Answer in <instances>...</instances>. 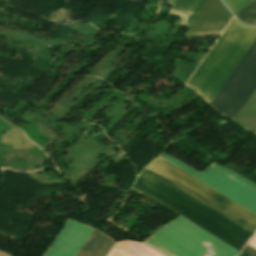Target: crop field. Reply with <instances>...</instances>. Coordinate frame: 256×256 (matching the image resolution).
<instances>
[{
    "instance_id": "crop-field-1",
    "label": "crop field",
    "mask_w": 256,
    "mask_h": 256,
    "mask_svg": "<svg viewBox=\"0 0 256 256\" xmlns=\"http://www.w3.org/2000/svg\"><path fill=\"white\" fill-rule=\"evenodd\" d=\"M132 189L165 205L240 251L253 234L148 169L142 171Z\"/></svg>"
},
{
    "instance_id": "crop-field-2",
    "label": "crop field",
    "mask_w": 256,
    "mask_h": 256,
    "mask_svg": "<svg viewBox=\"0 0 256 256\" xmlns=\"http://www.w3.org/2000/svg\"><path fill=\"white\" fill-rule=\"evenodd\" d=\"M255 37L256 28L232 19L186 85L210 103Z\"/></svg>"
},
{
    "instance_id": "crop-field-3",
    "label": "crop field",
    "mask_w": 256,
    "mask_h": 256,
    "mask_svg": "<svg viewBox=\"0 0 256 256\" xmlns=\"http://www.w3.org/2000/svg\"><path fill=\"white\" fill-rule=\"evenodd\" d=\"M145 242L168 256H237L239 253L181 216Z\"/></svg>"
},
{
    "instance_id": "crop-field-4",
    "label": "crop field",
    "mask_w": 256,
    "mask_h": 256,
    "mask_svg": "<svg viewBox=\"0 0 256 256\" xmlns=\"http://www.w3.org/2000/svg\"><path fill=\"white\" fill-rule=\"evenodd\" d=\"M146 168L245 227L249 231L253 233L255 232V215L168 163L164 159L159 157Z\"/></svg>"
},
{
    "instance_id": "crop-field-5",
    "label": "crop field",
    "mask_w": 256,
    "mask_h": 256,
    "mask_svg": "<svg viewBox=\"0 0 256 256\" xmlns=\"http://www.w3.org/2000/svg\"><path fill=\"white\" fill-rule=\"evenodd\" d=\"M160 157L256 215V186L252 183L214 162L200 173L165 153Z\"/></svg>"
},
{
    "instance_id": "crop-field-6",
    "label": "crop field",
    "mask_w": 256,
    "mask_h": 256,
    "mask_svg": "<svg viewBox=\"0 0 256 256\" xmlns=\"http://www.w3.org/2000/svg\"><path fill=\"white\" fill-rule=\"evenodd\" d=\"M256 84V40L253 42L251 47L248 49L246 54L243 56L241 61L238 63L236 68L233 70L231 75L228 77L226 82L223 84L221 89L218 91L216 96L213 98L216 104L222 107L224 110L232 113L237 111L241 103L244 101L248 93L251 91L253 86ZM256 85L249 93L245 101L242 103L238 111L233 116L232 114L224 111L218 105L211 101V105L217 108L223 114L231 117L237 115L239 110L242 108L244 103L247 101L249 96L252 94Z\"/></svg>"
},
{
    "instance_id": "crop-field-7",
    "label": "crop field",
    "mask_w": 256,
    "mask_h": 256,
    "mask_svg": "<svg viewBox=\"0 0 256 256\" xmlns=\"http://www.w3.org/2000/svg\"><path fill=\"white\" fill-rule=\"evenodd\" d=\"M93 228L68 219L44 256H76Z\"/></svg>"
},
{
    "instance_id": "crop-field-8",
    "label": "crop field",
    "mask_w": 256,
    "mask_h": 256,
    "mask_svg": "<svg viewBox=\"0 0 256 256\" xmlns=\"http://www.w3.org/2000/svg\"><path fill=\"white\" fill-rule=\"evenodd\" d=\"M231 17L219 0H208L186 34L222 32Z\"/></svg>"
},
{
    "instance_id": "crop-field-9",
    "label": "crop field",
    "mask_w": 256,
    "mask_h": 256,
    "mask_svg": "<svg viewBox=\"0 0 256 256\" xmlns=\"http://www.w3.org/2000/svg\"><path fill=\"white\" fill-rule=\"evenodd\" d=\"M116 242L94 229L77 256H107Z\"/></svg>"
},
{
    "instance_id": "crop-field-10",
    "label": "crop field",
    "mask_w": 256,
    "mask_h": 256,
    "mask_svg": "<svg viewBox=\"0 0 256 256\" xmlns=\"http://www.w3.org/2000/svg\"><path fill=\"white\" fill-rule=\"evenodd\" d=\"M206 2L207 0H176L172 9L189 15L184 24L190 26Z\"/></svg>"
},
{
    "instance_id": "crop-field-11",
    "label": "crop field",
    "mask_w": 256,
    "mask_h": 256,
    "mask_svg": "<svg viewBox=\"0 0 256 256\" xmlns=\"http://www.w3.org/2000/svg\"><path fill=\"white\" fill-rule=\"evenodd\" d=\"M235 15L243 23L256 25V0L250 2Z\"/></svg>"
},
{
    "instance_id": "crop-field-12",
    "label": "crop field",
    "mask_w": 256,
    "mask_h": 256,
    "mask_svg": "<svg viewBox=\"0 0 256 256\" xmlns=\"http://www.w3.org/2000/svg\"><path fill=\"white\" fill-rule=\"evenodd\" d=\"M231 10L234 12H238L241 8H243L246 4H248L251 0H224Z\"/></svg>"
},
{
    "instance_id": "crop-field-13",
    "label": "crop field",
    "mask_w": 256,
    "mask_h": 256,
    "mask_svg": "<svg viewBox=\"0 0 256 256\" xmlns=\"http://www.w3.org/2000/svg\"><path fill=\"white\" fill-rule=\"evenodd\" d=\"M250 246L256 249V234L252 238V240L249 242ZM244 249V251L241 253L240 256H256V250L253 249L252 247L248 246Z\"/></svg>"
},
{
    "instance_id": "crop-field-14",
    "label": "crop field",
    "mask_w": 256,
    "mask_h": 256,
    "mask_svg": "<svg viewBox=\"0 0 256 256\" xmlns=\"http://www.w3.org/2000/svg\"><path fill=\"white\" fill-rule=\"evenodd\" d=\"M223 166H225V167L231 169L232 171L238 173L239 175H241V176H243V177H245V178L251 180L252 182L256 183V169H255V171L249 176V175H247L246 173L242 172L241 170H239V169H237V168H235V167H233V166H231V165H229V164H227V163L224 164Z\"/></svg>"
},
{
    "instance_id": "crop-field-15",
    "label": "crop field",
    "mask_w": 256,
    "mask_h": 256,
    "mask_svg": "<svg viewBox=\"0 0 256 256\" xmlns=\"http://www.w3.org/2000/svg\"><path fill=\"white\" fill-rule=\"evenodd\" d=\"M173 2H174V0H169L167 3L172 6Z\"/></svg>"
}]
</instances>
